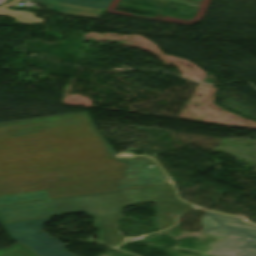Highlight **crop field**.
Instances as JSON below:
<instances>
[{"label":"crop field","mask_w":256,"mask_h":256,"mask_svg":"<svg viewBox=\"0 0 256 256\" xmlns=\"http://www.w3.org/2000/svg\"><path fill=\"white\" fill-rule=\"evenodd\" d=\"M179 256H187V255L180 254Z\"/></svg>","instance_id":"11"},{"label":"crop field","mask_w":256,"mask_h":256,"mask_svg":"<svg viewBox=\"0 0 256 256\" xmlns=\"http://www.w3.org/2000/svg\"><path fill=\"white\" fill-rule=\"evenodd\" d=\"M0 256H34L28 249L19 244L14 245L9 250H0Z\"/></svg>","instance_id":"9"},{"label":"crop field","mask_w":256,"mask_h":256,"mask_svg":"<svg viewBox=\"0 0 256 256\" xmlns=\"http://www.w3.org/2000/svg\"><path fill=\"white\" fill-rule=\"evenodd\" d=\"M119 191L127 206L146 200L155 203L158 213L159 230L169 227L171 224L175 223V220L169 216L171 211L182 212L193 208L175 199L172 195V188L169 184L123 189Z\"/></svg>","instance_id":"4"},{"label":"crop field","mask_w":256,"mask_h":256,"mask_svg":"<svg viewBox=\"0 0 256 256\" xmlns=\"http://www.w3.org/2000/svg\"><path fill=\"white\" fill-rule=\"evenodd\" d=\"M18 1H24V0H13L8 4H5L0 7V15L5 14L8 16H11L15 19V22L17 23H23V24H31V23H42L43 19L34 17V14L28 11H11L9 9H6L9 6L15 7Z\"/></svg>","instance_id":"7"},{"label":"crop field","mask_w":256,"mask_h":256,"mask_svg":"<svg viewBox=\"0 0 256 256\" xmlns=\"http://www.w3.org/2000/svg\"><path fill=\"white\" fill-rule=\"evenodd\" d=\"M46 198H48V196L46 195L45 191L0 196V205Z\"/></svg>","instance_id":"8"},{"label":"crop field","mask_w":256,"mask_h":256,"mask_svg":"<svg viewBox=\"0 0 256 256\" xmlns=\"http://www.w3.org/2000/svg\"><path fill=\"white\" fill-rule=\"evenodd\" d=\"M49 10L87 18H99L112 0H32Z\"/></svg>","instance_id":"6"},{"label":"crop field","mask_w":256,"mask_h":256,"mask_svg":"<svg viewBox=\"0 0 256 256\" xmlns=\"http://www.w3.org/2000/svg\"><path fill=\"white\" fill-rule=\"evenodd\" d=\"M203 233L228 236L213 244L215 256H256V226L240 218L207 211L201 219Z\"/></svg>","instance_id":"3"},{"label":"crop field","mask_w":256,"mask_h":256,"mask_svg":"<svg viewBox=\"0 0 256 256\" xmlns=\"http://www.w3.org/2000/svg\"><path fill=\"white\" fill-rule=\"evenodd\" d=\"M50 219L5 224L3 227L12 239L27 246L37 256H76L59 241L43 232V224Z\"/></svg>","instance_id":"5"},{"label":"crop field","mask_w":256,"mask_h":256,"mask_svg":"<svg viewBox=\"0 0 256 256\" xmlns=\"http://www.w3.org/2000/svg\"><path fill=\"white\" fill-rule=\"evenodd\" d=\"M126 206L119 191L54 198L46 201L0 206V224L36 220L84 212L94 218V227L105 243H120L114 221Z\"/></svg>","instance_id":"2"},{"label":"crop field","mask_w":256,"mask_h":256,"mask_svg":"<svg viewBox=\"0 0 256 256\" xmlns=\"http://www.w3.org/2000/svg\"><path fill=\"white\" fill-rule=\"evenodd\" d=\"M4 1H6V0H0V3L4 2Z\"/></svg>","instance_id":"10"},{"label":"crop field","mask_w":256,"mask_h":256,"mask_svg":"<svg viewBox=\"0 0 256 256\" xmlns=\"http://www.w3.org/2000/svg\"><path fill=\"white\" fill-rule=\"evenodd\" d=\"M148 158L114 155L87 112L0 123V195L49 198L167 183Z\"/></svg>","instance_id":"1"}]
</instances>
